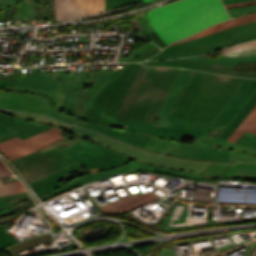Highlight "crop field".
Wrapping results in <instances>:
<instances>
[{
    "label": "crop field",
    "instance_id": "c21b1889",
    "mask_svg": "<svg viewBox=\"0 0 256 256\" xmlns=\"http://www.w3.org/2000/svg\"><path fill=\"white\" fill-rule=\"evenodd\" d=\"M253 9H256V6L255 7H247V8L234 9V10H230L228 12H229V14H232V13H237V12L247 11V10H253Z\"/></svg>",
    "mask_w": 256,
    "mask_h": 256
},
{
    "label": "crop field",
    "instance_id": "e1f06a70",
    "mask_svg": "<svg viewBox=\"0 0 256 256\" xmlns=\"http://www.w3.org/2000/svg\"><path fill=\"white\" fill-rule=\"evenodd\" d=\"M141 23H142V26L147 34V36L154 42L156 43L153 38L150 36L151 34L155 33L154 30L151 28V26L149 25L145 15L139 17ZM157 44V43H156ZM158 45V44H157ZM159 46V45H158ZM163 49V48H162Z\"/></svg>",
    "mask_w": 256,
    "mask_h": 256
},
{
    "label": "crop field",
    "instance_id": "d23c7cc5",
    "mask_svg": "<svg viewBox=\"0 0 256 256\" xmlns=\"http://www.w3.org/2000/svg\"><path fill=\"white\" fill-rule=\"evenodd\" d=\"M252 3H256V1L243 2V3H239V4L228 5V6H226V8L235 7V6H240V5H246V4H252Z\"/></svg>",
    "mask_w": 256,
    "mask_h": 256
},
{
    "label": "crop field",
    "instance_id": "92a150f3",
    "mask_svg": "<svg viewBox=\"0 0 256 256\" xmlns=\"http://www.w3.org/2000/svg\"><path fill=\"white\" fill-rule=\"evenodd\" d=\"M210 123H211V121H205V120L159 118L156 124L165 125V126H174V127H183V128L206 130V128L209 126Z\"/></svg>",
    "mask_w": 256,
    "mask_h": 256
},
{
    "label": "crop field",
    "instance_id": "b80d0937",
    "mask_svg": "<svg viewBox=\"0 0 256 256\" xmlns=\"http://www.w3.org/2000/svg\"><path fill=\"white\" fill-rule=\"evenodd\" d=\"M160 51H161V49L156 48V49H154V50H152V51H150V52L144 54L143 56H140L138 59H136V60L133 61V62L144 61V60H146V59H148V58L154 56L155 54H157V53L160 52Z\"/></svg>",
    "mask_w": 256,
    "mask_h": 256
},
{
    "label": "crop field",
    "instance_id": "ac0d7876",
    "mask_svg": "<svg viewBox=\"0 0 256 256\" xmlns=\"http://www.w3.org/2000/svg\"><path fill=\"white\" fill-rule=\"evenodd\" d=\"M145 15L167 45L230 18L221 0H183Z\"/></svg>",
    "mask_w": 256,
    "mask_h": 256
},
{
    "label": "crop field",
    "instance_id": "eef30255",
    "mask_svg": "<svg viewBox=\"0 0 256 256\" xmlns=\"http://www.w3.org/2000/svg\"><path fill=\"white\" fill-rule=\"evenodd\" d=\"M34 3L35 0H24L17 9L13 19L35 17Z\"/></svg>",
    "mask_w": 256,
    "mask_h": 256
},
{
    "label": "crop field",
    "instance_id": "4a817a6b",
    "mask_svg": "<svg viewBox=\"0 0 256 256\" xmlns=\"http://www.w3.org/2000/svg\"><path fill=\"white\" fill-rule=\"evenodd\" d=\"M253 21H256V14L255 13L247 15V16H243V17L234 18L232 20L221 22V23H219V24H217V25H215L211 28H208L206 30H203V31H201V32L189 37V38L178 40V41L174 42L173 44L183 42V41H186V40H190V39H194V38H198V37H202V36H205V35H209V34H212V33H215V32H219V31H222V30H225V29H229V28L239 26V25H242V24H245V23L253 22ZM173 44H171V45H173Z\"/></svg>",
    "mask_w": 256,
    "mask_h": 256
},
{
    "label": "crop field",
    "instance_id": "dafd665d",
    "mask_svg": "<svg viewBox=\"0 0 256 256\" xmlns=\"http://www.w3.org/2000/svg\"><path fill=\"white\" fill-rule=\"evenodd\" d=\"M183 59H189V60H196V61H202V62H208L218 65H224V66H231L234 67L236 63L239 62H256V56H250V57H219L217 60H211L208 58L203 57H188Z\"/></svg>",
    "mask_w": 256,
    "mask_h": 256
},
{
    "label": "crop field",
    "instance_id": "b54c1fbb",
    "mask_svg": "<svg viewBox=\"0 0 256 256\" xmlns=\"http://www.w3.org/2000/svg\"><path fill=\"white\" fill-rule=\"evenodd\" d=\"M28 195H29L28 193H25V194L13 195V196H5V197H0V200L28 196Z\"/></svg>",
    "mask_w": 256,
    "mask_h": 256
},
{
    "label": "crop field",
    "instance_id": "214f88e0",
    "mask_svg": "<svg viewBox=\"0 0 256 256\" xmlns=\"http://www.w3.org/2000/svg\"><path fill=\"white\" fill-rule=\"evenodd\" d=\"M224 178L256 181V163H235Z\"/></svg>",
    "mask_w": 256,
    "mask_h": 256
},
{
    "label": "crop field",
    "instance_id": "3316defc",
    "mask_svg": "<svg viewBox=\"0 0 256 256\" xmlns=\"http://www.w3.org/2000/svg\"><path fill=\"white\" fill-rule=\"evenodd\" d=\"M119 72L120 71H100L93 86L89 89L67 91L61 112L80 118L100 89L104 88Z\"/></svg>",
    "mask_w": 256,
    "mask_h": 256
},
{
    "label": "crop field",
    "instance_id": "25e5ab78",
    "mask_svg": "<svg viewBox=\"0 0 256 256\" xmlns=\"http://www.w3.org/2000/svg\"><path fill=\"white\" fill-rule=\"evenodd\" d=\"M6 85L12 86L13 83H8V82L0 81V86L4 87Z\"/></svg>",
    "mask_w": 256,
    "mask_h": 256
},
{
    "label": "crop field",
    "instance_id": "5d738f31",
    "mask_svg": "<svg viewBox=\"0 0 256 256\" xmlns=\"http://www.w3.org/2000/svg\"><path fill=\"white\" fill-rule=\"evenodd\" d=\"M8 207H10V205L7 200L0 201V210Z\"/></svg>",
    "mask_w": 256,
    "mask_h": 256
},
{
    "label": "crop field",
    "instance_id": "d9b57169",
    "mask_svg": "<svg viewBox=\"0 0 256 256\" xmlns=\"http://www.w3.org/2000/svg\"><path fill=\"white\" fill-rule=\"evenodd\" d=\"M142 64L167 66V67H182V68H188V69L205 71V72L216 73V74L256 78V73L232 72L233 68H231V67H224V66H218V65L208 64V63L183 60V59H173V60H166V61H152V62H144Z\"/></svg>",
    "mask_w": 256,
    "mask_h": 256
},
{
    "label": "crop field",
    "instance_id": "28ad6ade",
    "mask_svg": "<svg viewBox=\"0 0 256 256\" xmlns=\"http://www.w3.org/2000/svg\"><path fill=\"white\" fill-rule=\"evenodd\" d=\"M62 137V129L54 127L24 141L17 137L15 139L0 143V152H2L9 160H11L42 149L59 141Z\"/></svg>",
    "mask_w": 256,
    "mask_h": 256
},
{
    "label": "crop field",
    "instance_id": "8a807250",
    "mask_svg": "<svg viewBox=\"0 0 256 256\" xmlns=\"http://www.w3.org/2000/svg\"><path fill=\"white\" fill-rule=\"evenodd\" d=\"M67 156L83 164L88 169L101 167L103 172L91 174L80 179L71 181L70 183H58L67 176L70 169H79L81 166L77 164L70 165L51 176L40 181L31 183L34 190L38 193L42 200H50L72 188L97 181L109 176L128 173L129 171L124 164L134 160L131 157L123 155L105 146L98 145L84 139L69 146L68 148L60 145L57 146ZM86 157L87 159L85 160Z\"/></svg>",
    "mask_w": 256,
    "mask_h": 256
},
{
    "label": "crop field",
    "instance_id": "028f5c9d",
    "mask_svg": "<svg viewBox=\"0 0 256 256\" xmlns=\"http://www.w3.org/2000/svg\"><path fill=\"white\" fill-rule=\"evenodd\" d=\"M256 47V41H252L246 44H240V45H235V46H231L227 49H224L222 51L223 52H230V51H238V50H245V49H249V48H253Z\"/></svg>",
    "mask_w": 256,
    "mask_h": 256
},
{
    "label": "crop field",
    "instance_id": "bc2a9ffb",
    "mask_svg": "<svg viewBox=\"0 0 256 256\" xmlns=\"http://www.w3.org/2000/svg\"><path fill=\"white\" fill-rule=\"evenodd\" d=\"M126 167L130 172L134 171H143V172H162V173H168V174H173L177 176H182L186 178H194V179H202L204 176H199L187 172H182V171H177V170H172L168 168H163V167H158V166H153V165H148V164H143L137 160H134L128 164H126Z\"/></svg>",
    "mask_w": 256,
    "mask_h": 256
},
{
    "label": "crop field",
    "instance_id": "412701ff",
    "mask_svg": "<svg viewBox=\"0 0 256 256\" xmlns=\"http://www.w3.org/2000/svg\"><path fill=\"white\" fill-rule=\"evenodd\" d=\"M180 69L142 66L118 115L152 123Z\"/></svg>",
    "mask_w": 256,
    "mask_h": 256
},
{
    "label": "crop field",
    "instance_id": "cbeb9de0",
    "mask_svg": "<svg viewBox=\"0 0 256 256\" xmlns=\"http://www.w3.org/2000/svg\"><path fill=\"white\" fill-rule=\"evenodd\" d=\"M52 127L54 126L33 123L0 113V142L16 136L24 140Z\"/></svg>",
    "mask_w": 256,
    "mask_h": 256
},
{
    "label": "crop field",
    "instance_id": "730fd06b",
    "mask_svg": "<svg viewBox=\"0 0 256 256\" xmlns=\"http://www.w3.org/2000/svg\"><path fill=\"white\" fill-rule=\"evenodd\" d=\"M43 154H45L47 157H49L51 160H53L55 163H57L62 168L76 162V161L72 160L71 158L67 157L56 147L43 152Z\"/></svg>",
    "mask_w": 256,
    "mask_h": 256
},
{
    "label": "crop field",
    "instance_id": "e52e79f7",
    "mask_svg": "<svg viewBox=\"0 0 256 256\" xmlns=\"http://www.w3.org/2000/svg\"><path fill=\"white\" fill-rule=\"evenodd\" d=\"M253 39H256V22L169 46L150 60L204 54L230 44Z\"/></svg>",
    "mask_w": 256,
    "mask_h": 256
},
{
    "label": "crop field",
    "instance_id": "bd1437ed",
    "mask_svg": "<svg viewBox=\"0 0 256 256\" xmlns=\"http://www.w3.org/2000/svg\"><path fill=\"white\" fill-rule=\"evenodd\" d=\"M142 0H106V10L113 9L118 6H124V5H130V4H136L140 3ZM119 4V5H117Z\"/></svg>",
    "mask_w": 256,
    "mask_h": 256
},
{
    "label": "crop field",
    "instance_id": "5142ce71",
    "mask_svg": "<svg viewBox=\"0 0 256 256\" xmlns=\"http://www.w3.org/2000/svg\"><path fill=\"white\" fill-rule=\"evenodd\" d=\"M124 130L163 137L165 140L171 139L176 142H178L181 137H192L195 139L204 133V131L200 130L165 127L160 125L141 123L133 120H130Z\"/></svg>",
    "mask_w": 256,
    "mask_h": 256
},
{
    "label": "crop field",
    "instance_id": "1d83c4d3",
    "mask_svg": "<svg viewBox=\"0 0 256 256\" xmlns=\"http://www.w3.org/2000/svg\"><path fill=\"white\" fill-rule=\"evenodd\" d=\"M236 143L256 149V136L245 132Z\"/></svg>",
    "mask_w": 256,
    "mask_h": 256
},
{
    "label": "crop field",
    "instance_id": "d8731c3e",
    "mask_svg": "<svg viewBox=\"0 0 256 256\" xmlns=\"http://www.w3.org/2000/svg\"><path fill=\"white\" fill-rule=\"evenodd\" d=\"M91 141L111 147L144 163L187 171L199 175H201L211 163L155 155L147 151L136 149L100 134L94 137Z\"/></svg>",
    "mask_w": 256,
    "mask_h": 256
},
{
    "label": "crop field",
    "instance_id": "5866460e",
    "mask_svg": "<svg viewBox=\"0 0 256 256\" xmlns=\"http://www.w3.org/2000/svg\"><path fill=\"white\" fill-rule=\"evenodd\" d=\"M50 115H52L54 118L67 122V123H71L73 124L77 118L71 117V116H66L62 113H58V111L53 107V109L50 111L49 113Z\"/></svg>",
    "mask_w": 256,
    "mask_h": 256
},
{
    "label": "crop field",
    "instance_id": "5a996713",
    "mask_svg": "<svg viewBox=\"0 0 256 256\" xmlns=\"http://www.w3.org/2000/svg\"><path fill=\"white\" fill-rule=\"evenodd\" d=\"M256 92V79L244 78L238 90L231 97L224 109L213 120L205 133L219 137L234 118L244 108L253 94Z\"/></svg>",
    "mask_w": 256,
    "mask_h": 256
},
{
    "label": "crop field",
    "instance_id": "4177f3b9",
    "mask_svg": "<svg viewBox=\"0 0 256 256\" xmlns=\"http://www.w3.org/2000/svg\"><path fill=\"white\" fill-rule=\"evenodd\" d=\"M53 238H52V234H45V235H40V236H36V237H33L31 239H28L22 243H19L13 247H11L14 251H16L17 253L25 250V249H28V248H31L33 246H36V245H39V244H42V243H46V242H49V241H52Z\"/></svg>",
    "mask_w": 256,
    "mask_h": 256
},
{
    "label": "crop field",
    "instance_id": "03da06ac",
    "mask_svg": "<svg viewBox=\"0 0 256 256\" xmlns=\"http://www.w3.org/2000/svg\"><path fill=\"white\" fill-rule=\"evenodd\" d=\"M224 5H228V4H234V3H238V2H243V1H251V0H222Z\"/></svg>",
    "mask_w": 256,
    "mask_h": 256
},
{
    "label": "crop field",
    "instance_id": "425ffa30",
    "mask_svg": "<svg viewBox=\"0 0 256 256\" xmlns=\"http://www.w3.org/2000/svg\"><path fill=\"white\" fill-rule=\"evenodd\" d=\"M250 12H256V10H253V11H247V12H241V13H237V14H232L231 17L234 18L238 15H243V14H247V13H250Z\"/></svg>",
    "mask_w": 256,
    "mask_h": 256
},
{
    "label": "crop field",
    "instance_id": "750c4746",
    "mask_svg": "<svg viewBox=\"0 0 256 256\" xmlns=\"http://www.w3.org/2000/svg\"><path fill=\"white\" fill-rule=\"evenodd\" d=\"M13 211H14V209L12 207H10L8 209L0 211V215L8 213V212H13ZM16 243H18V242L16 240H14L8 233H6L0 227V250L5 248V247L11 246L13 244H16Z\"/></svg>",
    "mask_w": 256,
    "mask_h": 256
},
{
    "label": "crop field",
    "instance_id": "22f410ed",
    "mask_svg": "<svg viewBox=\"0 0 256 256\" xmlns=\"http://www.w3.org/2000/svg\"><path fill=\"white\" fill-rule=\"evenodd\" d=\"M105 0H55L57 21H68L103 12Z\"/></svg>",
    "mask_w": 256,
    "mask_h": 256
},
{
    "label": "crop field",
    "instance_id": "d3111659",
    "mask_svg": "<svg viewBox=\"0 0 256 256\" xmlns=\"http://www.w3.org/2000/svg\"><path fill=\"white\" fill-rule=\"evenodd\" d=\"M27 192L24 185L20 182H13L9 184L2 185L0 181V196L12 195L18 193Z\"/></svg>",
    "mask_w": 256,
    "mask_h": 256
},
{
    "label": "crop field",
    "instance_id": "d32e631a",
    "mask_svg": "<svg viewBox=\"0 0 256 256\" xmlns=\"http://www.w3.org/2000/svg\"><path fill=\"white\" fill-rule=\"evenodd\" d=\"M17 0H5V2L0 6V19L5 20L9 10L14 5Z\"/></svg>",
    "mask_w": 256,
    "mask_h": 256
},
{
    "label": "crop field",
    "instance_id": "120bbe31",
    "mask_svg": "<svg viewBox=\"0 0 256 256\" xmlns=\"http://www.w3.org/2000/svg\"><path fill=\"white\" fill-rule=\"evenodd\" d=\"M156 47H157V46H155L152 42H150V43L144 45L143 47H141V48H139V49L133 51V52L131 53V57H128V58L126 59V61H127V62H130V61L136 59L137 57H139L140 55H142V54H144V53H146V52H148V51H150V50H152V49H154V48H156Z\"/></svg>",
    "mask_w": 256,
    "mask_h": 256
},
{
    "label": "crop field",
    "instance_id": "f4fd0767",
    "mask_svg": "<svg viewBox=\"0 0 256 256\" xmlns=\"http://www.w3.org/2000/svg\"><path fill=\"white\" fill-rule=\"evenodd\" d=\"M82 128L106 134L130 145L138 146L142 149L189 159L215 161H256V157L240 153L239 151L207 149L193 145L175 143L170 140L164 141L162 138L126 132L120 129L91 123L89 121H87Z\"/></svg>",
    "mask_w": 256,
    "mask_h": 256
},
{
    "label": "crop field",
    "instance_id": "ae1a2a85",
    "mask_svg": "<svg viewBox=\"0 0 256 256\" xmlns=\"http://www.w3.org/2000/svg\"><path fill=\"white\" fill-rule=\"evenodd\" d=\"M233 164L212 162L202 175L224 177Z\"/></svg>",
    "mask_w": 256,
    "mask_h": 256
},
{
    "label": "crop field",
    "instance_id": "d1516ede",
    "mask_svg": "<svg viewBox=\"0 0 256 256\" xmlns=\"http://www.w3.org/2000/svg\"><path fill=\"white\" fill-rule=\"evenodd\" d=\"M11 162L20 170L28 182L62 169L38 151L11 160Z\"/></svg>",
    "mask_w": 256,
    "mask_h": 256
},
{
    "label": "crop field",
    "instance_id": "0bd39190",
    "mask_svg": "<svg viewBox=\"0 0 256 256\" xmlns=\"http://www.w3.org/2000/svg\"><path fill=\"white\" fill-rule=\"evenodd\" d=\"M250 55H256V48L245 50V51H239V52H230V53H224L220 56H250Z\"/></svg>",
    "mask_w": 256,
    "mask_h": 256
},
{
    "label": "crop field",
    "instance_id": "dd49c442",
    "mask_svg": "<svg viewBox=\"0 0 256 256\" xmlns=\"http://www.w3.org/2000/svg\"><path fill=\"white\" fill-rule=\"evenodd\" d=\"M140 64H128L109 84L101 89L81 119L124 129L130 119L116 116Z\"/></svg>",
    "mask_w": 256,
    "mask_h": 256
},
{
    "label": "crop field",
    "instance_id": "00972430",
    "mask_svg": "<svg viewBox=\"0 0 256 256\" xmlns=\"http://www.w3.org/2000/svg\"><path fill=\"white\" fill-rule=\"evenodd\" d=\"M245 131L256 135V106L236 131L230 136L228 141L235 143Z\"/></svg>",
    "mask_w": 256,
    "mask_h": 256
},
{
    "label": "crop field",
    "instance_id": "733c2abd",
    "mask_svg": "<svg viewBox=\"0 0 256 256\" xmlns=\"http://www.w3.org/2000/svg\"><path fill=\"white\" fill-rule=\"evenodd\" d=\"M158 197L153 192L144 193L138 196H129L121 200L110 203L100 209L105 212H116L118 214L130 211L133 208L142 206L146 203L152 202Z\"/></svg>",
    "mask_w": 256,
    "mask_h": 256
},
{
    "label": "crop field",
    "instance_id": "73cf0c24",
    "mask_svg": "<svg viewBox=\"0 0 256 256\" xmlns=\"http://www.w3.org/2000/svg\"><path fill=\"white\" fill-rule=\"evenodd\" d=\"M149 1H153V0H143V3H145V2H149Z\"/></svg>",
    "mask_w": 256,
    "mask_h": 256
},
{
    "label": "crop field",
    "instance_id": "c035e120",
    "mask_svg": "<svg viewBox=\"0 0 256 256\" xmlns=\"http://www.w3.org/2000/svg\"><path fill=\"white\" fill-rule=\"evenodd\" d=\"M12 175V173L9 171V169L6 167V165L2 162L0 159V177Z\"/></svg>",
    "mask_w": 256,
    "mask_h": 256
},
{
    "label": "crop field",
    "instance_id": "34b2d1b8",
    "mask_svg": "<svg viewBox=\"0 0 256 256\" xmlns=\"http://www.w3.org/2000/svg\"><path fill=\"white\" fill-rule=\"evenodd\" d=\"M242 79L197 72L171 117L213 120Z\"/></svg>",
    "mask_w": 256,
    "mask_h": 256
},
{
    "label": "crop field",
    "instance_id": "a9b5d70f",
    "mask_svg": "<svg viewBox=\"0 0 256 256\" xmlns=\"http://www.w3.org/2000/svg\"><path fill=\"white\" fill-rule=\"evenodd\" d=\"M256 105V93L246 105V107L241 111V113L235 118V120L229 125V127L222 133L220 138L227 140L229 136L235 131V129L240 125V123L245 119V117L250 113V111Z\"/></svg>",
    "mask_w": 256,
    "mask_h": 256
}]
</instances>
